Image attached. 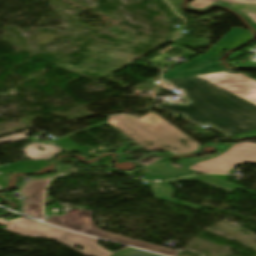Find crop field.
Listing matches in <instances>:
<instances>
[{"label": "crop field", "instance_id": "10", "mask_svg": "<svg viewBox=\"0 0 256 256\" xmlns=\"http://www.w3.org/2000/svg\"><path fill=\"white\" fill-rule=\"evenodd\" d=\"M187 180H194L227 192L232 193L233 191H235L237 188H239V186L230 184V183H226L205 175H199V176H194V177H188V178H183V179H178V180H172V182H177V181H187Z\"/></svg>", "mask_w": 256, "mask_h": 256}, {"label": "crop field", "instance_id": "16", "mask_svg": "<svg viewBox=\"0 0 256 256\" xmlns=\"http://www.w3.org/2000/svg\"><path fill=\"white\" fill-rule=\"evenodd\" d=\"M236 136H238V137L256 136V130L250 131V132H246V133L237 134ZM225 137H228V135H225Z\"/></svg>", "mask_w": 256, "mask_h": 256}, {"label": "crop field", "instance_id": "2", "mask_svg": "<svg viewBox=\"0 0 256 256\" xmlns=\"http://www.w3.org/2000/svg\"><path fill=\"white\" fill-rule=\"evenodd\" d=\"M107 123L147 150H168L177 155L200 147L154 113L141 119L131 115L113 116Z\"/></svg>", "mask_w": 256, "mask_h": 256}, {"label": "crop field", "instance_id": "15", "mask_svg": "<svg viewBox=\"0 0 256 256\" xmlns=\"http://www.w3.org/2000/svg\"><path fill=\"white\" fill-rule=\"evenodd\" d=\"M21 220H26V219L23 218V217L18 218V219H15V220H12V221H5V220H1V219H0V224L10 226L11 224H13V223H15V222H17V221H21Z\"/></svg>", "mask_w": 256, "mask_h": 256}, {"label": "crop field", "instance_id": "3", "mask_svg": "<svg viewBox=\"0 0 256 256\" xmlns=\"http://www.w3.org/2000/svg\"><path fill=\"white\" fill-rule=\"evenodd\" d=\"M6 231L23 235L30 238H50L74 249L76 245L84 247V250H76L85 256H109L113 253L98 246L96 243L98 239L86 237L72 232L60 230L33 221H22L13 224Z\"/></svg>", "mask_w": 256, "mask_h": 256}, {"label": "crop field", "instance_id": "17", "mask_svg": "<svg viewBox=\"0 0 256 256\" xmlns=\"http://www.w3.org/2000/svg\"><path fill=\"white\" fill-rule=\"evenodd\" d=\"M205 175H208V174H205ZM208 176H211L226 182H228V178H229V175H208Z\"/></svg>", "mask_w": 256, "mask_h": 256}, {"label": "crop field", "instance_id": "11", "mask_svg": "<svg viewBox=\"0 0 256 256\" xmlns=\"http://www.w3.org/2000/svg\"><path fill=\"white\" fill-rule=\"evenodd\" d=\"M218 0H194L189 3V6L197 9H204ZM228 4L232 3H247V4H256V0H223Z\"/></svg>", "mask_w": 256, "mask_h": 256}, {"label": "crop field", "instance_id": "8", "mask_svg": "<svg viewBox=\"0 0 256 256\" xmlns=\"http://www.w3.org/2000/svg\"><path fill=\"white\" fill-rule=\"evenodd\" d=\"M154 171L152 172L150 178L152 179H170V178H175V177H180V176H186V175H191L195 174L197 172L190 171L186 168L178 167L176 165L171 166L167 168L163 163H155V164H150Z\"/></svg>", "mask_w": 256, "mask_h": 256}, {"label": "crop field", "instance_id": "19", "mask_svg": "<svg viewBox=\"0 0 256 256\" xmlns=\"http://www.w3.org/2000/svg\"><path fill=\"white\" fill-rule=\"evenodd\" d=\"M1 188V187H0Z\"/></svg>", "mask_w": 256, "mask_h": 256}, {"label": "crop field", "instance_id": "1", "mask_svg": "<svg viewBox=\"0 0 256 256\" xmlns=\"http://www.w3.org/2000/svg\"><path fill=\"white\" fill-rule=\"evenodd\" d=\"M243 29L234 27L202 56L180 65L162 76L177 89H184L185 105L159 107L185 114L186 118L198 125L209 123L216 130L232 135L256 129V94L242 99L220 90L208 82L227 73L220 68L223 49Z\"/></svg>", "mask_w": 256, "mask_h": 256}, {"label": "crop field", "instance_id": "9", "mask_svg": "<svg viewBox=\"0 0 256 256\" xmlns=\"http://www.w3.org/2000/svg\"><path fill=\"white\" fill-rule=\"evenodd\" d=\"M149 185L157 199L168 201V202L181 205L194 210L200 208V206L190 205L182 201H179L182 203H177L178 200L171 199L172 192L167 182L159 183V184L150 183Z\"/></svg>", "mask_w": 256, "mask_h": 256}, {"label": "crop field", "instance_id": "18", "mask_svg": "<svg viewBox=\"0 0 256 256\" xmlns=\"http://www.w3.org/2000/svg\"><path fill=\"white\" fill-rule=\"evenodd\" d=\"M237 5H244V4H237ZM250 6H256V5H250Z\"/></svg>", "mask_w": 256, "mask_h": 256}, {"label": "crop field", "instance_id": "14", "mask_svg": "<svg viewBox=\"0 0 256 256\" xmlns=\"http://www.w3.org/2000/svg\"><path fill=\"white\" fill-rule=\"evenodd\" d=\"M238 10L242 11L246 15V18L249 19L253 24L254 22H256V11L243 10V9H238Z\"/></svg>", "mask_w": 256, "mask_h": 256}, {"label": "crop field", "instance_id": "4", "mask_svg": "<svg viewBox=\"0 0 256 256\" xmlns=\"http://www.w3.org/2000/svg\"><path fill=\"white\" fill-rule=\"evenodd\" d=\"M44 221L51 223L53 225L74 230L77 232L118 241L131 246H135L138 248H142V249H146V250H150V251H154V252H158V253H162L170 256H175L178 253L177 251H174L170 248L106 233L100 230L97 226H95L92 223L91 212L88 210H81L73 215L67 213L62 217L53 216L45 219Z\"/></svg>", "mask_w": 256, "mask_h": 256}, {"label": "crop field", "instance_id": "7", "mask_svg": "<svg viewBox=\"0 0 256 256\" xmlns=\"http://www.w3.org/2000/svg\"><path fill=\"white\" fill-rule=\"evenodd\" d=\"M210 83L242 98L256 93V81L240 74L228 73Z\"/></svg>", "mask_w": 256, "mask_h": 256}, {"label": "crop field", "instance_id": "12", "mask_svg": "<svg viewBox=\"0 0 256 256\" xmlns=\"http://www.w3.org/2000/svg\"><path fill=\"white\" fill-rule=\"evenodd\" d=\"M115 256H159V255H155L152 253H148L145 251H141V250H137L134 248H126L123 251L119 252L118 254H116Z\"/></svg>", "mask_w": 256, "mask_h": 256}, {"label": "crop field", "instance_id": "13", "mask_svg": "<svg viewBox=\"0 0 256 256\" xmlns=\"http://www.w3.org/2000/svg\"><path fill=\"white\" fill-rule=\"evenodd\" d=\"M252 33L248 30H244L235 40H233L225 49L235 47L240 44H244L250 40Z\"/></svg>", "mask_w": 256, "mask_h": 256}, {"label": "crop field", "instance_id": "5", "mask_svg": "<svg viewBox=\"0 0 256 256\" xmlns=\"http://www.w3.org/2000/svg\"><path fill=\"white\" fill-rule=\"evenodd\" d=\"M226 149L208 160L202 158L194 159L195 165L190 169L201 173H228L234 165L240 163H256V144L225 143ZM235 167V166H234Z\"/></svg>", "mask_w": 256, "mask_h": 256}, {"label": "crop field", "instance_id": "6", "mask_svg": "<svg viewBox=\"0 0 256 256\" xmlns=\"http://www.w3.org/2000/svg\"><path fill=\"white\" fill-rule=\"evenodd\" d=\"M72 169L71 167L56 165L55 174L43 177V178H32L33 181L27 183L22 192L27 196L26 206L23 210L24 213L42 219L41 205L44 195V190L49 179L57 174L64 173Z\"/></svg>", "mask_w": 256, "mask_h": 256}]
</instances>
